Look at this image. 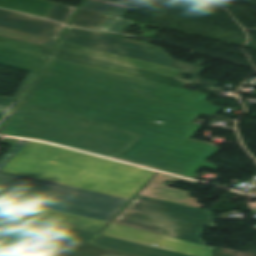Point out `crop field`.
<instances>
[{
	"instance_id": "obj_5",
	"label": "crop field",
	"mask_w": 256,
	"mask_h": 256,
	"mask_svg": "<svg viewBox=\"0 0 256 256\" xmlns=\"http://www.w3.org/2000/svg\"><path fill=\"white\" fill-rule=\"evenodd\" d=\"M41 75L215 115L210 96L49 58Z\"/></svg>"
},
{
	"instance_id": "obj_13",
	"label": "crop field",
	"mask_w": 256,
	"mask_h": 256,
	"mask_svg": "<svg viewBox=\"0 0 256 256\" xmlns=\"http://www.w3.org/2000/svg\"><path fill=\"white\" fill-rule=\"evenodd\" d=\"M0 223L15 226V227H21L26 228L74 241H85L89 242L96 234L43 221L38 220L30 217H25L13 213H8L4 211H0Z\"/></svg>"
},
{
	"instance_id": "obj_21",
	"label": "crop field",
	"mask_w": 256,
	"mask_h": 256,
	"mask_svg": "<svg viewBox=\"0 0 256 256\" xmlns=\"http://www.w3.org/2000/svg\"><path fill=\"white\" fill-rule=\"evenodd\" d=\"M111 16L79 8L70 25L98 29Z\"/></svg>"
},
{
	"instance_id": "obj_10",
	"label": "crop field",
	"mask_w": 256,
	"mask_h": 256,
	"mask_svg": "<svg viewBox=\"0 0 256 256\" xmlns=\"http://www.w3.org/2000/svg\"><path fill=\"white\" fill-rule=\"evenodd\" d=\"M101 234L149 246H153L151 244L155 243L158 244L156 246L158 248L192 256H213L212 252L216 249L214 247L157 235L113 223H110Z\"/></svg>"
},
{
	"instance_id": "obj_23",
	"label": "crop field",
	"mask_w": 256,
	"mask_h": 256,
	"mask_svg": "<svg viewBox=\"0 0 256 256\" xmlns=\"http://www.w3.org/2000/svg\"><path fill=\"white\" fill-rule=\"evenodd\" d=\"M0 46L28 52V53H32V54H36L44 57H47V55L51 51V48H47V47H43V46L31 44V43H26V42L14 40V39H9L1 36H0Z\"/></svg>"
},
{
	"instance_id": "obj_14",
	"label": "crop field",
	"mask_w": 256,
	"mask_h": 256,
	"mask_svg": "<svg viewBox=\"0 0 256 256\" xmlns=\"http://www.w3.org/2000/svg\"><path fill=\"white\" fill-rule=\"evenodd\" d=\"M0 26L58 40L65 27L60 23L43 20L0 9Z\"/></svg>"
},
{
	"instance_id": "obj_16",
	"label": "crop field",
	"mask_w": 256,
	"mask_h": 256,
	"mask_svg": "<svg viewBox=\"0 0 256 256\" xmlns=\"http://www.w3.org/2000/svg\"><path fill=\"white\" fill-rule=\"evenodd\" d=\"M91 244L141 256H188L102 235H99Z\"/></svg>"
},
{
	"instance_id": "obj_15",
	"label": "crop field",
	"mask_w": 256,
	"mask_h": 256,
	"mask_svg": "<svg viewBox=\"0 0 256 256\" xmlns=\"http://www.w3.org/2000/svg\"><path fill=\"white\" fill-rule=\"evenodd\" d=\"M174 180L178 182H185L194 184V181H190L187 179L158 173L149 183L148 185L139 193L140 195L160 198L164 200H169L173 202L183 203L187 205H192L196 207H203L204 205L196 204L197 199L188 197L187 192L173 189L171 187H167L163 185V182Z\"/></svg>"
},
{
	"instance_id": "obj_11",
	"label": "crop field",
	"mask_w": 256,
	"mask_h": 256,
	"mask_svg": "<svg viewBox=\"0 0 256 256\" xmlns=\"http://www.w3.org/2000/svg\"><path fill=\"white\" fill-rule=\"evenodd\" d=\"M0 210L60 223L98 233L108 223L50 208L0 197Z\"/></svg>"
},
{
	"instance_id": "obj_17",
	"label": "crop field",
	"mask_w": 256,
	"mask_h": 256,
	"mask_svg": "<svg viewBox=\"0 0 256 256\" xmlns=\"http://www.w3.org/2000/svg\"><path fill=\"white\" fill-rule=\"evenodd\" d=\"M45 58L0 47V65L38 73Z\"/></svg>"
},
{
	"instance_id": "obj_6",
	"label": "crop field",
	"mask_w": 256,
	"mask_h": 256,
	"mask_svg": "<svg viewBox=\"0 0 256 256\" xmlns=\"http://www.w3.org/2000/svg\"><path fill=\"white\" fill-rule=\"evenodd\" d=\"M212 212L136 195L113 223L204 244V226L214 227Z\"/></svg>"
},
{
	"instance_id": "obj_28",
	"label": "crop field",
	"mask_w": 256,
	"mask_h": 256,
	"mask_svg": "<svg viewBox=\"0 0 256 256\" xmlns=\"http://www.w3.org/2000/svg\"><path fill=\"white\" fill-rule=\"evenodd\" d=\"M202 70H204V68L199 67L198 70L195 72V76H197L198 73H200ZM197 77H198V76H197ZM217 84H219V83L216 82L214 85H217ZM209 86H213V85H209Z\"/></svg>"
},
{
	"instance_id": "obj_18",
	"label": "crop field",
	"mask_w": 256,
	"mask_h": 256,
	"mask_svg": "<svg viewBox=\"0 0 256 256\" xmlns=\"http://www.w3.org/2000/svg\"><path fill=\"white\" fill-rule=\"evenodd\" d=\"M81 8L113 15L103 26L99 28L100 30L121 32L133 24L132 21L121 18L125 13L129 11V9L126 8L106 5L90 0L83 2Z\"/></svg>"
},
{
	"instance_id": "obj_12",
	"label": "crop field",
	"mask_w": 256,
	"mask_h": 256,
	"mask_svg": "<svg viewBox=\"0 0 256 256\" xmlns=\"http://www.w3.org/2000/svg\"><path fill=\"white\" fill-rule=\"evenodd\" d=\"M26 229L12 227L0 238V254L9 256H64L80 243L43 234L20 253L3 249Z\"/></svg>"
},
{
	"instance_id": "obj_19",
	"label": "crop field",
	"mask_w": 256,
	"mask_h": 256,
	"mask_svg": "<svg viewBox=\"0 0 256 256\" xmlns=\"http://www.w3.org/2000/svg\"><path fill=\"white\" fill-rule=\"evenodd\" d=\"M53 2L45 0H0V7L47 18L54 5Z\"/></svg>"
},
{
	"instance_id": "obj_24",
	"label": "crop field",
	"mask_w": 256,
	"mask_h": 256,
	"mask_svg": "<svg viewBox=\"0 0 256 256\" xmlns=\"http://www.w3.org/2000/svg\"><path fill=\"white\" fill-rule=\"evenodd\" d=\"M0 35L9 37V38L22 40V41L35 43V44H39V45H43V46H47V47H51V48H53L54 44L57 42L55 40L23 33L20 31H16V30L4 28V27H0Z\"/></svg>"
},
{
	"instance_id": "obj_30",
	"label": "crop field",
	"mask_w": 256,
	"mask_h": 256,
	"mask_svg": "<svg viewBox=\"0 0 256 256\" xmlns=\"http://www.w3.org/2000/svg\"><path fill=\"white\" fill-rule=\"evenodd\" d=\"M0 256H4V255H0Z\"/></svg>"
},
{
	"instance_id": "obj_29",
	"label": "crop field",
	"mask_w": 256,
	"mask_h": 256,
	"mask_svg": "<svg viewBox=\"0 0 256 256\" xmlns=\"http://www.w3.org/2000/svg\"><path fill=\"white\" fill-rule=\"evenodd\" d=\"M96 1H99V2H102V3H107V4H113V3H109V2H105V1H101V0H96ZM113 5H117V4H113ZM118 6H122V5H118ZM122 7H126V6H122ZM126 8H130V7H126Z\"/></svg>"
},
{
	"instance_id": "obj_3",
	"label": "crop field",
	"mask_w": 256,
	"mask_h": 256,
	"mask_svg": "<svg viewBox=\"0 0 256 256\" xmlns=\"http://www.w3.org/2000/svg\"><path fill=\"white\" fill-rule=\"evenodd\" d=\"M29 141L0 158V196L110 222L129 199L1 171Z\"/></svg>"
},
{
	"instance_id": "obj_8",
	"label": "crop field",
	"mask_w": 256,
	"mask_h": 256,
	"mask_svg": "<svg viewBox=\"0 0 256 256\" xmlns=\"http://www.w3.org/2000/svg\"><path fill=\"white\" fill-rule=\"evenodd\" d=\"M61 40L185 70L184 74L193 76L191 80L194 82L192 84H214L213 82L200 80L194 76V72L198 68L197 66L176 62L165 52L148 43L100 32L71 28H67Z\"/></svg>"
},
{
	"instance_id": "obj_26",
	"label": "crop field",
	"mask_w": 256,
	"mask_h": 256,
	"mask_svg": "<svg viewBox=\"0 0 256 256\" xmlns=\"http://www.w3.org/2000/svg\"><path fill=\"white\" fill-rule=\"evenodd\" d=\"M40 235H42V233L28 230L26 233H24L22 236H20L14 242H12L10 245H8L6 247V249L20 252L26 246H28L31 242H33L35 239H37Z\"/></svg>"
},
{
	"instance_id": "obj_20",
	"label": "crop field",
	"mask_w": 256,
	"mask_h": 256,
	"mask_svg": "<svg viewBox=\"0 0 256 256\" xmlns=\"http://www.w3.org/2000/svg\"><path fill=\"white\" fill-rule=\"evenodd\" d=\"M36 74L29 73L14 99L0 97V134L20 103Z\"/></svg>"
},
{
	"instance_id": "obj_27",
	"label": "crop field",
	"mask_w": 256,
	"mask_h": 256,
	"mask_svg": "<svg viewBox=\"0 0 256 256\" xmlns=\"http://www.w3.org/2000/svg\"><path fill=\"white\" fill-rule=\"evenodd\" d=\"M11 228V226L0 224V237Z\"/></svg>"
},
{
	"instance_id": "obj_7",
	"label": "crop field",
	"mask_w": 256,
	"mask_h": 256,
	"mask_svg": "<svg viewBox=\"0 0 256 256\" xmlns=\"http://www.w3.org/2000/svg\"><path fill=\"white\" fill-rule=\"evenodd\" d=\"M52 58L183 89L190 81L184 71L59 41Z\"/></svg>"
},
{
	"instance_id": "obj_25",
	"label": "crop field",
	"mask_w": 256,
	"mask_h": 256,
	"mask_svg": "<svg viewBox=\"0 0 256 256\" xmlns=\"http://www.w3.org/2000/svg\"><path fill=\"white\" fill-rule=\"evenodd\" d=\"M75 10V7L55 3L48 18L68 23Z\"/></svg>"
},
{
	"instance_id": "obj_9",
	"label": "crop field",
	"mask_w": 256,
	"mask_h": 256,
	"mask_svg": "<svg viewBox=\"0 0 256 256\" xmlns=\"http://www.w3.org/2000/svg\"><path fill=\"white\" fill-rule=\"evenodd\" d=\"M118 157L185 177H193L201 167L218 169L217 164L205 161L207 156L142 137Z\"/></svg>"
},
{
	"instance_id": "obj_22",
	"label": "crop field",
	"mask_w": 256,
	"mask_h": 256,
	"mask_svg": "<svg viewBox=\"0 0 256 256\" xmlns=\"http://www.w3.org/2000/svg\"><path fill=\"white\" fill-rule=\"evenodd\" d=\"M66 256H137L88 244H80Z\"/></svg>"
},
{
	"instance_id": "obj_4",
	"label": "crop field",
	"mask_w": 256,
	"mask_h": 256,
	"mask_svg": "<svg viewBox=\"0 0 256 256\" xmlns=\"http://www.w3.org/2000/svg\"><path fill=\"white\" fill-rule=\"evenodd\" d=\"M4 134L42 139L114 157L138 136L20 105Z\"/></svg>"
},
{
	"instance_id": "obj_1",
	"label": "crop field",
	"mask_w": 256,
	"mask_h": 256,
	"mask_svg": "<svg viewBox=\"0 0 256 256\" xmlns=\"http://www.w3.org/2000/svg\"><path fill=\"white\" fill-rule=\"evenodd\" d=\"M23 104L213 156L218 146L190 139L201 113L38 75ZM157 120L164 121L161 124Z\"/></svg>"
},
{
	"instance_id": "obj_2",
	"label": "crop field",
	"mask_w": 256,
	"mask_h": 256,
	"mask_svg": "<svg viewBox=\"0 0 256 256\" xmlns=\"http://www.w3.org/2000/svg\"><path fill=\"white\" fill-rule=\"evenodd\" d=\"M4 171L130 198L154 171L30 141Z\"/></svg>"
}]
</instances>
